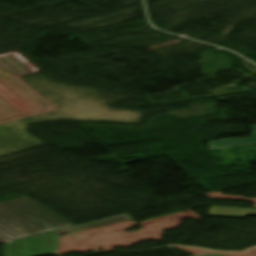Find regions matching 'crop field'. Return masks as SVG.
<instances>
[{"label": "crop field", "mask_w": 256, "mask_h": 256, "mask_svg": "<svg viewBox=\"0 0 256 256\" xmlns=\"http://www.w3.org/2000/svg\"><path fill=\"white\" fill-rule=\"evenodd\" d=\"M253 130H256V126L251 127ZM256 143V132L252 133L251 138L248 139H226L219 141H211L208 146L210 149L214 148H222V147H230V146H239V145H247V144H255Z\"/></svg>", "instance_id": "obj_1"}]
</instances>
